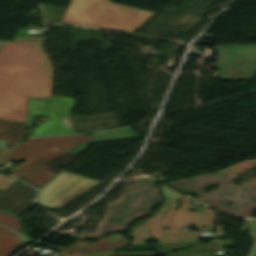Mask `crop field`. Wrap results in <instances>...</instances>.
Listing matches in <instances>:
<instances>
[{"mask_svg":"<svg viewBox=\"0 0 256 256\" xmlns=\"http://www.w3.org/2000/svg\"><path fill=\"white\" fill-rule=\"evenodd\" d=\"M51 78L42 45L5 42L0 49V118L25 122L27 97H50Z\"/></svg>","mask_w":256,"mask_h":256,"instance_id":"obj_1","label":"crop field"},{"mask_svg":"<svg viewBox=\"0 0 256 256\" xmlns=\"http://www.w3.org/2000/svg\"><path fill=\"white\" fill-rule=\"evenodd\" d=\"M160 186L166 200L156 214L133 228L129 235V238H133L132 245L145 244V241L150 240V236L158 243L197 241L200 231L188 232L182 231V228L188 226L214 227L215 212L209 210L205 205L202 213L189 212L191 198L163 184ZM178 199H181L182 203L180 208L174 211Z\"/></svg>","mask_w":256,"mask_h":256,"instance_id":"obj_2","label":"crop field"},{"mask_svg":"<svg viewBox=\"0 0 256 256\" xmlns=\"http://www.w3.org/2000/svg\"><path fill=\"white\" fill-rule=\"evenodd\" d=\"M91 136H54L29 140L20 144L6 160H25L11 174L41 187L55 174L41 166L63 155L83 152ZM0 164V165H1ZM26 175L21 177L20 175Z\"/></svg>","mask_w":256,"mask_h":256,"instance_id":"obj_3","label":"crop field"},{"mask_svg":"<svg viewBox=\"0 0 256 256\" xmlns=\"http://www.w3.org/2000/svg\"><path fill=\"white\" fill-rule=\"evenodd\" d=\"M154 14L109 0H71L60 22L132 33Z\"/></svg>","mask_w":256,"mask_h":256,"instance_id":"obj_4","label":"crop field"},{"mask_svg":"<svg viewBox=\"0 0 256 256\" xmlns=\"http://www.w3.org/2000/svg\"><path fill=\"white\" fill-rule=\"evenodd\" d=\"M52 98H28L26 127L31 128L33 116H51L49 121L38 124L32 131L33 136L48 134H74L65 127L61 119L68 115L73 99L51 96Z\"/></svg>","mask_w":256,"mask_h":256,"instance_id":"obj_5","label":"crop field"},{"mask_svg":"<svg viewBox=\"0 0 256 256\" xmlns=\"http://www.w3.org/2000/svg\"><path fill=\"white\" fill-rule=\"evenodd\" d=\"M40 189L37 202L56 210L97 185L100 181L61 171Z\"/></svg>","mask_w":256,"mask_h":256,"instance_id":"obj_6","label":"crop field"},{"mask_svg":"<svg viewBox=\"0 0 256 256\" xmlns=\"http://www.w3.org/2000/svg\"><path fill=\"white\" fill-rule=\"evenodd\" d=\"M216 68L220 80L252 79L256 73V45L218 46Z\"/></svg>","mask_w":256,"mask_h":256,"instance_id":"obj_7","label":"crop field"},{"mask_svg":"<svg viewBox=\"0 0 256 256\" xmlns=\"http://www.w3.org/2000/svg\"><path fill=\"white\" fill-rule=\"evenodd\" d=\"M35 192V188L18 181L0 195V210L20 216L34 204Z\"/></svg>","mask_w":256,"mask_h":256,"instance_id":"obj_8","label":"crop field"},{"mask_svg":"<svg viewBox=\"0 0 256 256\" xmlns=\"http://www.w3.org/2000/svg\"><path fill=\"white\" fill-rule=\"evenodd\" d=\"M128 242L124 240L119 233H115L106 238L97 240L94 243H86L84 241H78L69 248H60V247H52L56 249L62 255L68 254H80V253H92V252H106L113 251L116 248L127 244Z\"/></svg>","mask_w":256,"mask_h":256,"instance_id":"obj_9","label":"crop field"},{"mask_svg":"<svg viewBox=\"0 0 256 256\" xmlns=\"http://www.w3.org/2000/svg\"><path fill=\"white\" fill-rule=\"evenodd\" d=\"M25 123L6 121L0 119V139H5L6 144H13L23 139Z\"/></svg>","mask_w":256,"mask_h":256,"instance_id":"obj_10","label":"crop field"},{"mask_svg":"<svg viewBox=\"0 0 256 256\" xmlns=\"http://www.w3.org/2000/svg\"><path fill=\"white\" fill-rule=\"evenodd\" d=\"M127 138H136V136L129 128L93 133V137L89 143H98Z\"/></svg>","mask_w":256,"mask_h":256,"instance_id":"obj_11","label":"crop field"},{"mask_svg":"<svg viewBox=\"0 0 256 256\" xmlns=\"http://www.w3.org/2000/svg\"><path fill=\"white\" fill-rule=\"evenodd\" d=\"M20 246L22 245L16 235L0 228V256H8Z\"/></svg>","mask_w":256,"mask_h":256,"instance_id":"obj_12","label":"crop field"},{"mask_svg":"<svg viewBox=\"0 0 256 256\" xmlns=\"http://www.w3.org/2000/svg\"><path fill=\"white\" fill-rule=\"evenodd\" d=\"M20 219L14 216L0 212V224L6 225L13 230H21L19 225Z\"/></svg>","mask_w":256,"mask_h":256,"instance_id":"obj_13","label":"crop field"},{"mask_svg":"<svg viewBox=\"0 0 256 256\" xmlns=\"http://www.w3.org/2000/svg\"><path fill=\"white\" fill-rule=\"evenodd\" d=\"M17 179H14L8 175L0 173V189L5 190L12 185Z\"/></svg>","mask_w":256,"mask_h":256,"instance_id":"obj_14","label":"crop field"},{"mask_svg":"<svg viewBox=\"0 0 256 256\" xmlns=\"http://www.w3.org/2000/svg\"><path fill=\"white\" fill-rule=\"evenodd\" d=\"M5 147L0 149V163L18 146Z\"/></svg>","mask_w":256,"mask_h":256,"instance_id":"obj_15","label":"crop field"},{"mask_svg":"<svg viewBox=\"0 0 256 256\" xmlns=\"http://www.w3.org/2000/svg\"><path fill=\"white\" fill-rule=\"evenodd\" d=\"M252 222V234L256 239V219H251ZM250 256H256V246Z\"/></svg>","mask_w":256,"mask_h":256,"instance_id":"obj_16","label":"crop field"},{"mask_svg":"<svg viewBox=\"0 0 256 256\" xmlns=\"http://www.w3.org/2000/svg\"><path fill=\"white\" fill-rule=\"evenodd\" d=\"M110 252L107 253H93V254H81V255H69V256H106Z\"/></svg>","mask_w":256,"mask_h":256,"instance_id":"obj_17","label":"crop field"},{"mask_svg":"<svg viewBox=\"0 0 256 256\" xmlns=\"http://www.w3.org/2000/svg\"><path fill=\"white\" fill-rule=\"evenodd\" d=\"M18 234L24 239L25 242H32L33 241L24 232H18Z\"/></svg>","mask_w":256,"mask_h":256,"instance_id":"obj_18","label":"crop field"},{"mask_svg":"<svg viewBox=\"0 0 256 256\" xmlns=\"http://www.w3.org/2000/svg\"><path fill=\"white\" fill-rule=\"evenodd\" d=\"M62 121H63V123H64L66 126H68L69 128L74 129L73 126H72V124H71V121L68 120V117L62 119Z\"/></svg>","mask_w":256,"mask_h":256,"instance_id":"obj_19","label":"crop field"},{"mask_svg":"<svg viewBox=\"0 0 256 256\" xmlns=\"http://www.w3.org/2000/svg\"><path fill=\"white\" fill-rule=\"evenodd\" d=\"M6 145L4 140H0V146Z\"/></svg>","mask_w":256,"mask_h":256,"instance_id":"obj_20","label":"crop field"},{"mask_svg":"<svg viewBox=\"0 0 256 256\" xmlns=\"http://www.w3.org/2000/svg\"><path fill=\"white\" fill-rule=\"evenodd\" d=\"M2 192V190H0V193Z\"/></svg>","mask_w":256,"mask_h":256,"instance_id":"obj_21","label":"crop field"},{"mask_svg":"<svg viewBox=\"0 0 256 256\" xmlns=\"http://www.w3.org/2000/svg\"><path fill=\"white\" fill-rule=\"evenodd\" d=\"M2 41H0V44H1Z\"/></svg>","mask_w":256,"mask_h":256,"instance_id":"obj_22","label":"crop field"}]
</instances>
